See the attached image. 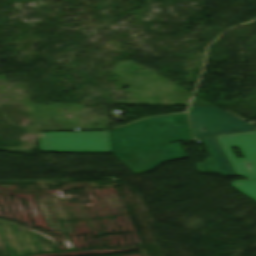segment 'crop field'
Here are the masks:
<instances>
[{"label":"crop field","mask_w":256,"mask_h":256,"mask_svg":"<svg viewBox=\"0 0 256 256\" xmlns=\"http://www.w3.org/2000/svg\"><path fill=\"white\" fill-rule=\"evenodd\" d=\"M111 152L191 138L186 114L156 117L109 132Z\"/></svg>","instance_id":"crop-field-1"},{"label":"crop field","mask_w":256,"mask_h":256,"mask_svg":"<svg viewBox=\"0 0 256 256\" xmlns=\"http://www.w3.org/2000/svg\"><path fill=\"white\" fill-rule=\"evenodd\" d=\"M40 151L110 152L108 132L39 133Z\"/></svg>","instance_id":"crop-field-2"},{"label":"crop field","mask_w":256,"mask_h":256,"mask_svg":"<svg viewBox=\"0 0 256 256\" xmlns=\"http://www.w3.org/2000/svg\"><path fill=\"white\" fill-rule=\"evenodd\" d=\"M189 114L195 138L256 130L255 127L216 106L191 107ZM201 128L206 129V131L201 132Z\"/></svg>","instance_id":"crop-field-3"},{"label":"crop field","mask_w":256,"mask_h":256,"mask_svg":"<svg viewBox=\"0 0 256 256\" xmlns=\"http://www.w3.org/2000/svg\"><path fill=\"white\" fill-rule=\"evenodd\" d=\"M114 155L134 173L153 170L161 162L187 157L179 143L115 153Z\"/></svg>","instance_id":"crop-field-4"},{"label":"crop field","mask_w":256,"mask_h":256,"mask_svg":"<svg viewBox=\"0 0 256 256\" xmlns=\"http://www.w3.org/2000/svg\"><path fill=\"white\" fill-rule=\"evenodd\" d=\"M237 175L256 179V132L217 136ZM228 146L240 147L246 158L235 159ZM247 162L251 163L247 167Z\"/></svg>","instance_id":"crop-field-5"},{"label":"crop field","mask_w":256,"mask_h":256,"mask_svg":"<svg viewBox=\"0 0 256 256\" xmlns=\"http://www.w3.org/2000/svg\"><path fill=\"white\" fill-rule=\"evenodd\" d=\"M220 174L235 176L233 170L224 157L215 137L203 138Z\"/></svg>","instance_id":"crop-field-6"},{"label":"crop field","mask_w":256,"mask_h":256,"mask_svg":"<svg viewBox=\"0 0 256 256\" xmlns=\"http://www.w3.org/2000/svg\"><path fill=\"white\" fill-rule=\"evenodd\" d=\"M233 187L240 190L250 198L256 201V180L252 181H234L231 183Z\"/></svg>","instance_id":"crop-field-7"}]
</instances>
